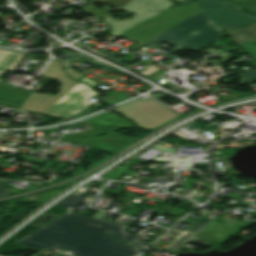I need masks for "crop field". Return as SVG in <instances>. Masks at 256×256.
I'll list each match as a JSON object with an SVG mask.
<instances>
[{"mask_svg":"<svg viewBox=\"0 0 256 256\" xmlns=\"http://www.w3.org/2000/svg\"><path fill=\"white\" fill-rule=\"evenodd\" d=\"M66 69H67V72H68L69 76L72 77V78H76L77 79L80 75H82V74H80L78 72L73 71L72 69H69L68 66H66Z\"/></svg>","mask_w":256,"mask_h":256,"instance_id":"obj_26","label":"crop field"},{"mask_svg":"<svg viewBox=\"0 0 256 256\" xmlns=\"http://www.w3.org/2000/svg\"><path fill=\"white\" fill-rule=\"evenodd\" d=\"M194 2L224 31L256 22V17L243 13L231 2L221 0Z\"/></svg>","mask_w":256,"mask_h":256,"instance_id":"obj_6","label":"crop field"},{"mask_svg":"<svg viewBox=\"0 0 256 256\" xmlns=\"http://www.w3.org/2000/svg\"><path fill=\"white\" fill-rule=\"evenodd\" d=\"M99 107H101L100 104L96 105L94 108L98 109Z\"/></svg>","mask_w":256,"mask_h":256,"instance_id":"obj_30","label":"crop field"},{"mask_svg":"<svg viewBox=\"0 0 256 256\" xmlns=\"http://www.w3.org/2000/svg\"><path fill=\"white\" fill-rule=\"evenodd\" d=\"M43 76L52 77L59 81L61 83L60 92L54 96H51L50 94H38L35 91L43 86V84H39L35 91L30 93L28 98L21 105V110L43 113L78 83L74 79L67 77L66 73L62 70V64L55 59H53L50 65L47 67L43 73Z\"/></svg>","mask_w":256,"mask_h":256,"instance_id":"obj_5","label":"crop field"},{"mask_svg":"<svg viewBox=\"0 0 256 256\" xmlns=\"http://www.w3.org/2000/svg\"><path fill=\"white\" fill-rule=\"evenodd\" d=\"M199 10L201 9L193 3L183 7L175 6L122 33L121 35L139 42L130 48L133 49Z\"/></svg>","mask_w":256,"mask_h":256,"instance_id":"obj_3","label":"crop field"},{"mask_svg":"<svg viewBox=\"0 0 256 256\" xmlns=\"http://www.w3.org/2000/svg\"><path fill=\"white\" fill-rule=\"evenodd\" d=\"M0 105H4V106H8V107L19 109L21 104L11 103V102H6V101H1L0 100Z\"/></svg>","mask_w":256,"mask_h":256,"instance_id":"obj_25","label":"crop field"},{"mask_svg":"<svg viewBox=\"0 0 256 256\" xmlns=\"http://www.w3.org/2000/svg\"><path fill=\"white\" fill-rule=\"evenodd\" d=\"M127 98H129V97H127L123 93H118V92L112 91L109 95H107L106 98L103 99V101L106 103L113 104V103H117V102L122 101Z\"/></svg>","mask_w":256,"mask_h":256,"instance_id":"obj_19","label":"crop field"},{"mask_svg":"<svg viewBox=\"0 0 256 256\" xmlns=\"http://www.w3.org/2000/svg\"><path fill=\"white\" fill-rule=\"evenodd\" d=\"M224 36L222 30L201 10L134 50L166 40L179 50L198 51Z\"/></svg>","mask_w":256,"mask_h":256,"instance_id":"obj_2","label":"crop field"},{"mask_svg":"<svg viewBox=\"0 0 256 256\" xmlns=\"http://www.w3.org/2000/svg\"><path fill=\"white\" fill-rule=\"evenodd\" d=\"M79 57H82V58L90 61L89 63H91V64H93V65H95V66H97V67H99L101 69H108V71H110V72H115V73H119V74L123 73V72H121V71H119V70H117L115 68H112V67H110V66H108L106 64H103V63L95 60V59H92V58H90V57H88V56H86V55H84V54H82V53H80L78 51H76L75 54L72 57H70L67 61L71 62V61H73V60H75V59H77Z\"/></svg>","mask_w":256,"mask_h":256,"instance_id":"obj_18","label":"crop field"},{"mask_svg":"<svg viewBox=\"0 0 256 256\" xmlns=\"http://www.w3.org/2000/svg\"><path fill=\"white\" fill-rule=\"evenodd\" d=\"M256 61V56L252 57ZM241 78H243L247 83L255 82L256 81V70L246 72L243 74H239Z\"/></svg>","mask_w":256,"mask_h":256,"instance_id":"obj_21","label":"crop field"},{"mask_svg":"<svg viewBox=\"0 0 256 256\" xmlns=\"http://www.w3.org/2000/svg\"><path fill=\"white\" fill-rule=\"evenodd\" d=\"M115 110L133 120L138 126L150 130L178 116L151 99L137 100Z\"/></svg>","mask_w":256,"mask_h":256,"instance_id":"obj_4","label":"crop field"},{"mask_svg":"<svg viewBox=\"0 0 256 256\" xmlns=\"http://www.w3.org/2000/svg\"><path fill=\"white\" fill-rule=\"evenodd\" d=\"M127 226L67 212L16 243L47 248L58 246L74 256H135L150 245L138 234L123 231ZM135 246L123 243L109 235Z\"/></svg>","mask_w":256,"mask_h":256,"instance_id":"obj_1","label":"crop field"},{"mask_svg":"<svg viewBox=\"0 0 256 256\" xmlns=\"http://www.w3.org/2000/svg\"><path fill=\"white\" fill-rule=\"evenodd\" d=\"M122 137L123 136L119 134L104 135L92 138H66L62 136L60 140L92 145L93 147L102 150L116 152L129 140L126 137H124L125 139H122Z\"/></svg>","mask_w":256,"mask_h":256,"instance_id":"obj_9","label":"crop field"},{"mask_svg":"<svg viewBox=\"0 0 256 256\" xmlns=\"http://www.w3.org/2000/svg\"><path fill=\"white\" fill-rule=\"evenodd\" d=\"M239 47H241L244 51H246L251 56L256 55V41L240 45Z\"/></svg>","mask_w":256,"mask_h":256,"instance_id":"obj_22","label":"crop field"},{"mask_svg":"<svg viewBox=\"0 0 256 256\" xmlns=\"http://www.w3.org/2000/svg\"><path fill=\"white\" fill-rule=\"evenodd\" d=\"M211 219L201 217L196 221L190 228L186 231L182 229L174 228L166 236L176 238L171 244H169L164 250L166 251H175L183 243H185L190 237H192L198 230H200L206 223Z\"/></svg>","mask_w":256,"mask_h":256,"instance_id":"obj_10","label":"crop field"},{"mask_svg":"<svg viewBox=\"0 0 256 256\" xmlns=\"http://www.w3.org/2000/svg\"><path fill=\"white\" fill-rule=\"evenodd\" d=\"M21 52L0 49V70H7L10 65L21 55ZM1 79V78H0Z\"/></svg>","mask_w":256,"mask_h":256,"instance_id":"obj_16","label":"crop field"},{"mask_svg":"<svg viewBox=\"0 0 256 256\" xmlns=\"http://www.w3.org/2000/svg\"><path fill=\"white\" fill-rule=\"evenodd\" d=\"M95 1H97V0H92V1H90L89 4L86 5V6H84V7H82V9L85 10L86 12L90 13V14H94V15H97V16H100V17L106 16V15H104V14H102V13L105 12L106 10H108V9L111 10V11H113V9H110V8L106 7V8H104L103 10H101L100 12H98V13L95 12V11H94V8H95V7H90V6H89L90 4H92V3L95 2ZM99 1H103V2H106V3H110V4H112V5H114V6L118 7V8H120V7L124 6L125 4L129 3V2L132 1V0H99Z\"/></svg>","mask_w":256,"mask_h":256,"instance_id":"obj_15","label":"crop field"},{"mask_svg":"<svg viewBox=\"0 0 256 256\" xmlns=\"http://www.w3.org/2000/svg\"><path fill=\"white\" fill-rule=\"evenodd\" d=\"M3 81L4 79L0 80V99L17 102L21 98L18 103L22 104L28 96V94H25V90L6 85L2 83Z\"/></svg>","mask_w":256,"mask_h":256,"instance_id":"obj_12","label":"crop field"},{"mask_svg":"<svg viewBox=\"0 0 256 256\" xmlns=\"http://www.w3.org/2000/svg\"><path fill=\"white\" fill-rule=\"evenodd\" d=\"M90 111H93V110L86 109V110L82 111L81 113H79L78 115H76L75 117L86 115V114L90 113ZM75 117H73V118H75Z\"/></svg>","mask_w":256,"mask_h":256,"instance_id":"obj_28","label":"crop field"},{"mask_svg":"<svg viewBox=\"0 0 256 256\" xmlns=\"http://www.w3.org/2000/svg\"><path fill=\"white\" fill-rule=\"evenodd\" d=\"M5 71H0V75L2 74V73H4Z\"/></svg>","mask_w":256,"mask_h":256,"instance_id":"obj_31","label":"crop field"},{"mask_svg":"<svg viewBox=\"0 0 256 256\" xmlns=\"http://www.w3.org/2000/svg\"><path fill=\"white\" fill-rule=\"evenodd\" d=\"M238 45L256 40V23L226 31Z\"/></svg>","mask_w":256,"mask_h":256,"instance_id":"obj_11","label":"crop field"},{"mask_svg":"<svg viewBox=\"0 0 256 256\" xmlns=\"http://www.w3.org/2000/svg\"><path fill=\"white\" fill-rule=\"evenodd\" d=\"M81 82L87 83V84H89L91 87H93V86L95 85L93 81H91V80H89V79H86V78H83V79L81 80Z\"/></svg>","mask_w":256,"mask_h":256,"instance_id":"obj_27","label":"crop field"},{"mask_svg":"<svg viewBox=\"0 0 256 256\" xmlns=\"http://www.w3.org/2000/svg\"><path fill=\"white\" fill-rule=\"evenodd\" d=\"M90 125L93 128L92 130L87 131V132L68 134V136H90V135L109 133V132H113L115 130V128L111 127V126L93 124V123H90Z\"/></svg>","mask_w":256,"mask_h":256,"instance_id":"obj_17","label":"crop field"},{"mask_svg":"<svg viewBox=\"0 0 256 256\" xmlns=\"http://www.w3.org/2000/svg\"><path fill=\"white\" fill-rule=\"evenodd\" d=\"M1 133V132H0Z\"/></svg>","mask_w":256,"mask_h":256,"instance_id":"obj_33","label":"crop field"},{"mask_svg":"<svg viewBox=\"0 0 256 256\" xmlns=\"http://www.w3.org/2000/svg\"><path fill=\"white\" fill-rule=\"evenodd\" d=\"M33 256H35V255H33ZM60 256H66V255L62 254V255H60Z\"/></svg>","mask_w":256,"mask_h":256,"instance_id":"obj_32","label":"crop field"},{"mask_svg":"<svg viewBox=\"0 0 256 256\" xmlns=\"http://www.w3.org/2000/svg\"><path fill=\"white\" fill-rule=\"evenodd\" d=\"M249 10L256 12V0H240Z\"/></svg>","mask_w":256,"mask_h":256,"instance_id":"obj_23","label":"crop field"},{"mask_svg":"<svg viewBox=\"0 0 256 256\" xmlns=\"http://www.w3.org/2000/svg\"><path fill=\"white\" fill-rule=\"evenodd\" d=\"M95 93L97 92L93 91L86 84L78 83L44 113L69 118L90 104L91 102H88L87 98Z\"/></svg>","mask_w":256,"mask_h":256,"instance_id":"obj_8","label":"crop field"},{"mask_svg":"<svg viewBox=\"0 0 256 256\" xmlns=\"http://www.w3.org/2000/svg\"><path fill=\"white\" fill-rule=\"evenodd\" d=\"M86 121L118 127H128V125L130 124L127 121L120 119L118 116L112 114L111 112L105 113L103 115L91 119H87Z\"/></svg>","mask_w":256,"mask_h":256,"instance_id":"obj_13","label":"crop field"},{"mask_svg":"<svg viewBox=\"0 0 256 256\" xmlns=\"http://www.w3.org/2000/svg\"><path fill=\"white\" fill-rule=\"evenodd\" d=\"M6 181L0 180V197L10 195L11 189L3 188Z\"/></svg>","mask_w":256,"mask_h":256,"instance_id":"obj_24","label":"crop field"},{"mask_svg":"<svg viewBox=\"0 0 256 256\" xmlns=\"http://www.w3.org/2000/svg\"><path fill=\"white\" fill-rule=\"evenodd\" d=\"M146 2H150V4L145 5ZM140 3H142V5H140ZM171 6H173V3L169 0H134L121 8L136 13L132 16L133 19L117 21L108 16L104 21H107L114 30L111 34L116 35ZM149 10H151V12H149ZM156 10H159V12H155Z\"/></svg>","mask_w":256,"mask_h":256,"instance_id":"obj_7","label":"crop field"},{"mask_svg":"<svg viewBox=\"0 0 256 256\" xmlns=\"http://www.w3.org/2000/svg\"><path fill=\"white\" fill-rule=\"evenodd\" d=\"M90 186H83L79 189H77L74 193L64 198L62 201H60L57 205H61L64 207L72 208L74 209L81 201H83L86 197L80 196L82 193H84Z\"/></svg>","mask_w":256,"mask_h":256,"instance_id":"obj_14","label":"crop field"},{"mask_svg":"<svg viewBox=\"0 0 256 256\" xmlns=\"http://www.w3.org/2000/svg\"><path fill=\"white\" fill-rule=\"evenodd\" d=\"M91 200H92V199L87 198V199L84 200L81 204L87 205V204H89V202H90Z\"/></svg>","mask_w":256,"mask_h":256,"instance_id":"obj_29","label":"crop field"},{"mask_svg":"<svg viewBox=\"0 0 256 256\" xmlns=\"http://www.w3.org/2000/svg\"><path fill=\"white\" fill-rule=\"evenodd\" d=\"M84 46H85V48H87V49H89V50H91V51H93V52H96V53H98V54H100V55H102V56H105V57H107V58H109V59H112V60H114V61H116V62H118V63H121V64H123V65L129 67L128 64L119 61L121 58L115 57L116 54H114V53H109V52H106V51H104V50L98 52V51L92 49L91 46H88V45H86V44H84Z\"/></svg>","mask_w":256,"mask_h":256,"instance_id":"obj_20","label":"crop field"}]
</instances>
